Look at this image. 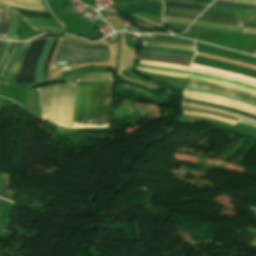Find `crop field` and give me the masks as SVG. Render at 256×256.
<instances>
[{
    "instance_id": "8a807250",
    "label": "crop field",
    "mask_w": 256,
    "mask_h": 256,
    "mask_svg": "<svg viewBox=\"0 0 256 256\" xmlns=\"http://www.w3.org/2000/svg\"><path fill=\"white\" fill-rule=\"evenodd\" d=\"M113 82L56 85L38 89L44 117L55 124L73 128L109 127Z\"/></svg>"
},
{
    "instance_id": "ac0d7876",
    "label": "crop field",
    "mask_w": 256,
    "mask_h": 256,
    "mask_svg": "<svg viewBox=\"0 0 256 256\" xmlns=\"http://www.w3.org/2000/svg\"><path fill=\"white\" fill-rule=\"evenodd\" d=\"M106 44L91 45L61 38L52 68L89 62H108Z\"/></svg>"
},
{
    "instance_id": "34b2d1b8",
    "label": "crop field",
    "mask_w": 256,
    "mask_h": 256,
    "mask_svg": "<svg viewBox=\"0 0 256 256\" xmlns=\"http://www.w3.org/2000/svg\"><path fill=\"white\" fill-rule=\"evenodd\" d=\"M47 39L32 43L19 71L16 84L34 82L35 66Z\"/></svg>"
},
{
    "instance_id": "412701ff",
    "label": "crop field",
    "mask_w": 256,
    "mask_h": 256,
    "mask_svg": "<svg viewBox=\"0 0 256 256\" xmlns=\"http://www.w3.org/2000/svg\"><path fill=\"white\" fill-rule=\"evenodd\" d=\"M119 7L129 13L145 12L162 15L163 4L156 0H116Z\"/></svg>"
},
{
    "instance_id": "f4fd0767",
    "label": "crop field",
    "mask_w": 256,
    "mask_h": 256,
    "mask_svg": "<svg viewBox=\"0 0 256 256\" xmlns=\"http://www.w3.org/2000/svg\"><path fill=\"white\" fill-rule=\"evenodd\" d=\"M184 97L202 100V101L215 103V104L226 105V106H230L233 108L241 109V110L256 114V107H252L243 103H239L236 101H232V100H228L220 97H215V96H211L203 93H197V92H189V91L184 92Z\"/></svg>"
},
{
    "instance_id": "dd49c442",
    "label": "crop field",
    "mask_w": 256,
    "mask_h": 256,
    "mask_svg": "<svg viewBox=\"0 0 256 256\" xmlns=\"http://www.w3.org/2000/svg\"><path fill=\"white\" fill-rule=\"evenodd\" d=\"M188 87L202 88V89H206V90L213 91V92L228 94V95H232V96L239 97V98L256 103V96H254L252 94L234 90V89H230V88H226V87H222V86H218V85H214V84H210V83H206V82H202V81H198V80H194V79H193V82Z\"/></svg>"
},
{
    "instance_id": "e52e79f7",
    "label": "crop field",
    "mask_w": 256,
    "mask_h": 256,
    "mask_svg": "<svg viewBox=\"0 0 256 256\" xmlns=\"http://www.w3.org/2000/svg\"><path fill=\"white\" fill-rule=\"evenodd\" d=\"M141 59L162 62V63L186 65V66H189V64L192 60V58H190V57L162 54V53H154V52H147V51L143 52Z\"/></svg>"
},
{
    "instance_id": "d8731c3e",
    "label": "crop field",
    "mask_w": 256,
    "mask_h": 256,
    "mask_svg": "<svg viewBox=\"0 0 256 256\" xmlns=\"http://www.w3.org/2000/svg\"><path fill=\"white\" fill-rule=\"evenodd\" d=\"M183 102L191 103V104H196V105H201V106H206V107H210V108H214V109H219V110H223V111H227V112L243 115V116H246L248 118L256 120V116L255 115L248 114V113H245V112H242V111H238V110H235L233 108H228V107H224V106H219V105H215V104H210V103H206V102H202V101H197V100H192V99H186V98H184Z\"/></svg>"
},
{
    "instance_id": "5a996713",
    "label": "crop field",
    "mask_w": 256,
    "mask_h": 256,
    "mask_svg": "<svg viewBox=\"0 0 256 256\" xmlns=\"http://www.w3.org/2000/svg\"><path fill=\"white\" fill-rule=\"evenodd\" d=\"M11 19V9L0 3V38L5 39ZM9 30V29H8Z\"/></svg>"
},
{
    "instance_id": "3316defc",
    "label": "crop field",
    "mask_w": 256,
    "mask_h": 256,
    "mask_svg": "<svg viewBox=\"0 0 256 256\" xmlns=\"http://www.w3.org/2000/svg\"><path fill=\"white\" fill-rule=\"evenodd\" d=\"M202 15H204V16H211V17H217V18H225V19H233V20L256 22V17L245 16V15L228 14V13L211 12V11H206Z\"/></svg>"
},
{
    "instance_id": "28ad6ade",
    "label": "crop field",
    "mask_w": 256,
    "mask_h": 256,
    "mask_svg": "<svg viewBox=\"0 0 256 256\" xmlns=\"http://www.w3.org/2000/svg\"><path fill=\"white\" fill-rule=\"evenodd\" d=\"M208 10L256 16V10L210 5Z\"/></svg>"
},
{
    "instance_id": "d1516ede",
    "label": "crop field",
    "mask_w": 256,
    "mask_h": 256,
    "mask_svg": "<svg viewBox=\"0 0 256 256\" xmlns=\"http://www.w3.org/2000/svg\"><path fill=\"white\" fill-rule=\"evenodd\" d=\"M54 39H48L45 46H44V49H43V53L37 63V67H36V74H35V82L36 81H41V72H42V69H43V65L45 63V60H46V56H47V53L50 49V46L52 44Z\"/></svg>"
},
{
    "instance_id": "22f410ed",
    "label": "crop field",
    "mask_w": 256,
    "mask_h": 256,
    "mask_svg": "<svg viewBox=\"0 0 256 256\" xmlns=\"http://www.w3.org/2000/svg\"><path fill=\"white\" fill-rule=\"evenodd\" d=\"M32 27H59L54 19L24 17Z\"/></svg>"
},
{
    "instance_id": "cbeb9de0",
    "label": "crop field",
    "mask_w": 256,
    "mask_h": 256,
    "mask_svg": "<svg viewBox=\"0 0 256 256\" xmlns=\"http://www.w3.org/2000/svg\"><path fill=\"white\" fill-rule=\"evenodd\" d=\"M31 43L32 42L25 44V46H24L16 64H15V66L13 68L12 74H11L10 79H9L7 84H15V80H16L20 65H21V63H22V61H23V59H24V57H25V55H26V53H27V51H28V49L31 45Z\"/></svg>"
},
{
    "instance_id": "5142ce71",
    "label": "crop field",
    "mask_w": 256,
    "mask_h": 256,
    "mask_svg": "<svg viewBox=\"0 0 256 256\" xmlns=\"http://www.w3.org/2000/svg\"><path fill=\"white\" fill-rule=\"evenodd\" d=\"M192 25L203 27V28L228 30V31L240 32V33H242L244 29L240 27L224 26V25H217V24L204 23V22H198V21H195Z\"/></svg>"
},
{
    "instance_id": "d9b57169",
    "label": "crop field",
    "mask_w": 256,
    "mask_h": 256,
    "mask_svg": "<svg viewBox=\"0 0 256 256\" xmlns=\"http://www.w3.org/2000/svg\"><path fill=\"white\" fill-rule=\"evenodd\" d=\"M9 175L1 174L0 197L12 201L15 191H7Z\"/></svg>"
},
{
    "instance_id": "733c2abd",
    "label": "crop field",
    "mask_w": 256,
    "mask_h": 256,
    "mask_svg": "<svg viewBox=\"0 0 256 256\" xmlns=\"http://www.w3.org/2000/svg\"><path fill=\"white\" fill-rule=\"evenodd\" d=\"M111 75L110 74H87L85 76H82L76 81L80 82H99V81H110Z\"/></svg>"
},
{
    "instance_id": "4a817a6b",
    "label": "crop field",
    "mask_w": 256,
    "mask_h": 256,
    "mask_svg": "<svg viewBox=\"0 0 256 256\" xmlns=\"http://www.w3.org/2000/svg\"><path fill=\"white\" fill-rule=\"evenodd\" d=\"M144 50L162 52V53L181 54V55H186V56H190V57H193V55L195 53V52L186 51V50L167 49V48L148 47V46H144Z\"/></svg>"
},
{
    "instance_id": "bc2a9ffb",
    "label": "crop field",
    "mask_w": 256,
    "mask_h": 256,
    "mask_svg": "<svg viewBox=\"0 0 256 256\" xmlns=\"http://www.w3.org/2000/svg\"><path fill=\"white\" fill-rule=\"evenodd\" d=\"M197 20L198 21H204V22H212V23L224 24V25L244 26V22L232 21V20H224V19H217V18H210V17H204V16H200Z\"/></svg>"
},
{
    "instance_id": "214f88e0",
    "label": "crop field",
    "mask_w": 256,
    "mask_h": 256,
    "mask_svg": "<svg viewBox=\"0 0 256 256\" xmlns=\"http://www.w3.org/2000/svg\"><path fill=\"white\" fill-rule=\"evenodd\" d=\"M143 41L169 43V44H187V45L194 46L193 42L181 40V39H143Z\"/></svg>"
},
{
    "instance_id": "92a150f3",
    "label": "crop field",
    "mask_w": 256,
    "mask_h": 256,
    "mask_svg": "<svg viewBox=\"0 0 256 256\" xmlns=\"http://www.w3.org/2000/svg\"><path fill=\"white\" fill-rule=\"evenodd\" d=\"M184 114L201 116V117H205V118H209V119H213V120H220L224 123H228V124H232V125L237 123V122H234L232 120L224 119V118L217 117V116H214V115H209V114L196 113V112H187V111H184Z\"/></svg>"
},
{
    "instance_id": "dafd665d",
    "label": "crop field",
    "mask_w": 256,
    "mask_h": 256,
    "mask_svg": "<svg viewBox=\"0 0 256 256\" xmlns=\"http://www.w3.org/2000/svg\"><path fill=\"white\" fill-rule=\"evenodd\" d=\"M213 4L256 9V5L243 4V3H235V2H227V1H220V0H216Z\"/></svg>"
},
{
    "instance_id": "00972430",
    "label": "crop field",
    "mask_w": 256,
    "mask_h": 256,
    "mask_svg": "<svg viewBox=\"0 0 256 256\" xmlns=\"http://www.w3.org/2000/svg\"><path fill=\"white\" fill-rule=\"evenodd\" d=\"M183 106L194 107V108H198V109H202V110L215 111V112H219V113H222V114H225V115L241 118V119H244V120L252 122V123H256V121L248 119V118H245L243 116H239V115H235V114H230V113H226V112H222V111H218V110H214V109H210V108H206V107H201V106H196V105H191V104H185V103H183Z\"/></svg>"
},
{
    "instance_id": "a9b5d70f",
    "label": "crop field",
    "mask_w": 256,
    "mask_h": 256,
    "mask_svg": "<svg viewBox=\"0 0 256 256\" xmlns=\"http://www.w3.org/2000/svg\"><path fill=\"white\" fill-rule=\"evenodd\" d=\"M143 44H144V45H148V46L178 48V49H186V50L195 51L194 47H192V46H186V45H168V44H156V43H147V42H143Z\"/></svg>"
},
{
    "instance_id": "4177f3b9",
    "label": "crop field",
    "mask_w": 256,
    "mask_h": 256,
    "mask_svg": "<svg viewBox=\"0 0 256 256\" xmlns=\"http://www.w3.org/2000/svg\"><path fill=\"white\" fill-rule=\"evenodd\" d=\"M166 5L189 7V8H199V9H205L207 7V5H202V4H189V3L170 2V1H166Z\"/></svg>"
},
{
    "instance_id": "730fd06b",
    "label": "crop field",
    "mask_w": 256,
    "mask_h": 256,
    "mask_svg": "<svg viewBox=\"0 0 256 256\" xmlns=\"http://www.w3.org/2000/svg\"><path fill=\"white\" fill-rule=\"evenodd\" d=\"M192 74L204 76V77L211 78V79L218 80V81H223V82H228V83H232V84H237V85L244 86V87H247V88H250V89L256 91V87L245 85V84H242V83H239V82H236V81L225 80V79L217 78V77H214V76L205 75V74H199V73H193V72H192Z\"/></svg>"
},
{
    "instance_id": "eef30255",
    "label": "crop field",
    "mask_w": 256,
    "mask_h": 256,
    "mask_svg": "<svg viewBox=\"0 0 256 256\" xmlns=\"http://www.w3.org/2000/svg\"><path fill=\"white\" fill-rule=\"evenodd\" d=\"M186 90L204 92V93H208V94H212V95H216V96H220V97H225V98L234 99V100H237V101H240V102H244V103H247V104L256 106V104H253V103H251V102H248V101H245V100H242V99L234 98V97L227 96V95H223V94H218V93L209 92V91H206V90H198V89H191V88H186Z\"/></svg>"
},
{
    "instance_id": "ae1a2a85",
    "label": "crop field",
    "mask_w": 256,
    "mask_h": 256,
    "mask_svg": "<svg viewBox=\"0 0 256 256\" xmlns=\"http://www.w3.org/2000/svg\"><path fill=\"white\" fill-rule=\"evenodd\" d=\"M140 64L189 70V67H186V66L161 64V63H155V62H149V61H143V60L140 61Z\"/></svg>"
},
{
    "instance_id": "d3111659",
    "label": "crop field",
    "mask_w": 256,
    "mask_h": 256,
    "mask_svg": "<svg viewBox=\"0 0 256 256\" xmlns=\"http://www.w3.org/2000/svg\"><path fill=\"white\" fill-rule=\"evenodd\" d=\"M164 11L196 14V13H198L200 10H196V9H184V8H172V7H166V6H165ZM201 11H202V10H201ZM201 11H200V12H201ZM200 12H199V13H200ZM199 13H198V14H199ZM198 14H197V15H198Z\"/></svg>"
},
{
    "instance_id": "750c4746",
    "label": "crop field",
    "mask_w": 256,
    "mask_h": 256,
    "mask_svg": "<svg viewBox=\"0 0 256 256\" xmlns=\"http://www.w3.org/2000/svg\"><path fill=\"white\" fill-rule=\"evenodd\" d=\"M165 23L189 25L191 21L176 18L163 17Z\"/></svg>"
},
{
    "instance_id": "bd1437ed",
    "label": "crop field",
    "mask_w": 256,
    "mask_h": 256,
    "mask_svg": "<svg viewBox=\"0 0 256 256\" xmlns=\"http://www.w3.org/2000/svg\"><path fill=\"white\" fill-rule=\"evenodd\" d=\"M163 16L176 17V18L189 19V20H193L196 17L194 15H186V14L171 13V12H164Z\"/></svg>"
},
{
    "instance_id": "1d83c4d3",
    "label": "crop field",
    "mask_w": 256,
    "mask_h": 256,
    "mask_svg": "<svg viewBox=\"0 0 256 256\" xmlns=\"http://www.w3.org/2000/svg\"><path fill=\"white\" fill-rule=\"evenodd\" d=\"M57 40H58V39H55L54 42H53V44H52V46H51V49H50V51H49V53H48V56H47L46 63H45V65H44L43 72H44L45 70H47V68H48V65H49L51 56H52V54H53V51H54V49H55Z\"/></svg>"
},
{
    "instance_id": "120bbe31",
    "label": "crop field",
    "mask_w": 256,
    "mask_h": 256,
    "mask_svg": "<svg viewBox=\"0 0 256 256\" xmlns=\"http://www.w3.org/2000/svg\"><path fill=\"white\" fill-rule=\"evenodd\" d=\"M138 66L144 67V68L162 70V71L181 72V73H188V74H190V72L180 71V70H174V69H168V68H160V67H153V66H145V65H140V64H139Z\"/></svg>"
},
{
    "instance_id": "d32e631a",
    "label": "crop field",
    "mask_w": 256,
    "mask_h": 256,
    "mask_svg": "<svg viewBox=\"0 0 256 256\" xmlns=\"http://www.w3.org/2000/svg\"><path fill=\"white\" fill-rule=\"evenodd\" d=\"M16 19H17V13L13 12V19H12V24H11V28H10V33L7 39L12 40L13 38V34H14V30H15V26H16Z\"/></svg>"
},
{
    "instance_id": "5866460e",
    "label": "crop field",
    "mask_w": 256,
    "mask_h": 256,
    "mask_svg": "<svg viewBox=\"0 0 256 256\" xmlns=\"http://www.w3.org/2000/svg\"><path fill=\"white\" fill-rule=\"evenodd\" d=\"M23 45H24V43L21 44V46H20V48H19V50H18V52H17V54H16V56H15V58H14L12 64H11V66H10L9 73H8V75H7V77H6V80H5L4 85H6V83H7V80H8V78H9V76H10L11 70H12V68H13V66H14V64H15V62H16V60H17V58H18V56H19V54H20V52H21V49H22Z\"/></svg>"
},
{
    "instance_id": "028f5c9d",
    "label": "crop field",
    "mask_w": 256,
    "mask_h": 256,
    "mask_svg": "<svg viewBox=\"0 0 256 256\" xmlns=\"http://www.w3.org/2000/svg\"><path fill=\"white\" fill-rule=\"evenodd\" d=\"M17 44H18V43H15V44H14V46H13V48H12V50H11V52H10V54H9V56H8V58H7V60H6V62H5V64H4V66H3V68H2V70H1V72H0V81H1V79H2V76H3V74H4V71H5V69H6L7 63H8V61H9L10 57L12 56V54H13V52H14L16 46H17Z\"/></svg>"
},
{
    "instance_id": "e1f06a70",
    "label": "crop field",
    "mask_w": 256,
    "mask_h": 256,
    "mask_svg": "<svg viewBox=\"0 0 256 256\" xmlns=\"http://www.w3.org/2000/svg\"><path fill=\"white\" fill-rule=\"evenodd\" d=\"M41 33H47L46 31L50 32H62L61 28H35Z\"/></svg>"
},
{
    "instance_id": "0bd39190",
    "label": "crop field",
    "mask_w": 256,
    "mask_h": 256,
    "mask_svg": "<svg viewBox=\"0 0 256 256\" xmlns=\"http://www.w3.org/2000/svg\"><path fill=\"white\" fill-rule=\"evenodd\" d=\"M11 8L16 11H20V12L34 13V14H40V15H49L48 13H43V12L28 11V10L14 8V7H11Z\"/></svg>"
},
{
    "instance_id": "b80d0937",
    "label": "crop field",
    "mask_w": 256,
    "mask_h": 256,
    "mask_svg": "<svg viewBox=\"0 0 256 256\" xmlns=\"http://www.w3.org/2000/svg\"><path fill=\"white\" fill-rule=\"evenodd\" d=\"M12 45H13V43H10V45H9V47H8V49H7V51H6L5 55H4V57H3L2 61H1V63H0V69H1V67H2V65H3V63H4L5 59H6L8 53H9L11 47H12Z\"/></svg>"
},
{
    "instance_id": "c035e120",
    "label": "crop field",
    "mask_w": 256,
    "mask_h": 256,
    "mask_svg": "<svg viewBox=\"0 0 256 256\" xmlns=\"http://www.w3.org/2000/svg\"><path fill=\"white\" fill-rule=\"evenodd\" d=\"M20 20H21V16L18 15L17 27H16V31H15V35H14V39L13 40H16V38H17V34H18L19 26H20Z\"/></svg>"
},
{
    "instance_id": "c21b1889",
    "label": "crop field",
    "mask_w": 256,
    "mask_h": 256,
    "mask_svg": "<svg viewBox=\"0 0 256 256\" xmlns=\"http://www.w3.org/2000/svg\"><path fill=\"white\" fill-rule=\"evenodd\" d=\"M228 1L245 2V3H253V4H256V0H228Z\"/></svg>"
},
{
    "instance_id": "03da06ac",
    "label": "crop field",
    "mask_w": 256,
    "mask_h": 256,
    "mask_svg": "<svg viewBox=\"0 0 256 256\" xmlns=\"http://www.w3.org/2000/svg\"><path fill=\"white\" fill-rule=\"evenodd\" d=\"M8 44H9V42H5L4 47H3V49H2V51H1V53H0V60H1V58H2V56H3V54H4V52H5V50H6L7 46H8Z\"/></svg>"
},
{
    "instance_id": "b54c1fbb",
    "label": "crop field",
    "mask_w": 256,
    "mask_h": 256,
    "mask_svg": "<svg viewBox=\"0 0 256 256\" xmlns=\"http://www.w3.org/2000/svg\"><path fill=\"white\" fill-rule=\"evenodd\" d=\"M22 16H30V17H46V18H51V17H47V16H40V15H33V14H24V13H20Z\"/></svg>"
},
{
    "instance_id": "5d738f31",
    "label": "crop field",
    "mask_w": 256,
    "mask_h": 256,
    "mask_svg": "<svg viewBox=\"0 0 256 256\" xmlns=\"http://www.w3.org/2000/svg\"><path fill=\"white\" fill-rule=\"evenodd\" d=\"M196 3H205V4H210L212 1L211 0H194Z\"/></svg>"
},
{
    "instance_id": "d23c7cc5",
    "label": "crop field",
    "mask_w": 256,
    "mask_h": 256,
    "mask_svg": "<svg viewBox=\"0 0 256 256\" xmlns=\"http://www.w3.org/2000/svg\"><path fill=\"white\" fill-rule=\"evenodd\" d=\"M21 1L43 4L42 0H21Z\"/></svg>"
},
{
    "instance_id": "425ffa30",
    "label": "crop field",
    "mask_w": 256,
    "mask_h": 256,
    "mask_svg": "<svg viewBox=\"0 0 256 256\" xmlns=\"http://www.w3.org/2000/svg\"><path fill=\"white\" fill-rule=\"evenodd\" d=\"M4 200H2V199H0V211H1V209H2V207H3V205H4Z\"/></svg>"
},
{
    "instance_id": "25e5ab78",
    "label": "crop field",
    "mask_w": 256,
    "mask_h": 256,
    "mask_svg": "<svg viewBox=\"0 0 256 256\" xmlns=\"http://www.w3.org/2000/svg\"><path fill=\"white\" fill-rule=\"evenodd\" d=\"M3 44H4V42H0V50H1L2 46H3Z\"/></svg>"
},
{
    "instance_id": "73cf0c24",
    "label": "crop field",
    "mask_w": 256,
    "mask_h": 256,
    "mask_svg": "<svg viewBox=\"0 0 256 256\" xmlns=\"http://www.w3.org/2000/svg\"><path fill=\"white\" fill-rule=\"evenodd\" d=\"M179 1H190V2H193V0H179Z\"/></svg>"
}]
</instances>
